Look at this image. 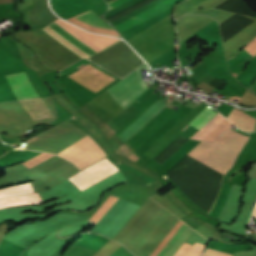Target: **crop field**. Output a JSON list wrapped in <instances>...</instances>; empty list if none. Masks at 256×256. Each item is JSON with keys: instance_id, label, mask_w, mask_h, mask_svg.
I'll return each instance as SVG.
<instances>
[{"instance_id": "8a807250", "label": "crop field", "mask_w": 256, "mask_h": 256, "mask_svg": "<svg viewBox=\"0 0 256 256\" xmlns=\"http://www.w3.org/2000/svg\"><path fill=\"white\" fill-rule=\"evenodd\" d=\"M247 139V136L229 129L212 144L201 141L187 155L225 174L234 163L240 148Z\"/></svg>"}, {"instance_id": "ac0d7876", "label": "crop field", "mask_w": 256, "mask_h": 256, "mask_svg": "<svg viewBox=\"0 0 256 256\" xmlns=\"http://www.w3.org/2000/svg\"><path fill=\"white\" fill-rule=\"evenodd\" d=\"M148 66L143 64L133 73L108 89L114 99L125 109L129 107L149 87L142 78L141 70Z\"/></svg>"}, {"instance_id": "34b2d1b8", "label": "crop field", "mask_w": 256, "mask_h": 256, "mask_svg": "<svg viewBox=\"0 0 256 256\" xmlns=\"http://www.w3.org/2000/svg\"><path fill=\"white\" fill-rule=\"evenodd\" d=\"M58 155L70 160L80 169L106 156L89 135L60 152Z\"/></svg>"}, {"instance_id": "412701ff", "label": "crop field", "mask_w": 256, "mask_h": 256, "mask_svg": "<svg viewBox=\"0 0 256 256\" xmlns=\"http://www.w3.org/2000/svg\"><path fill=\"white\" fill-rule=\"evenodd\" d=\"M117 171L118 169L105 158L68 179L82 190Z\"/></svg>"}, {"instance_id": "f4fd0767", "label": "crop field", "mask_w": 256, "mask_h": 256, "mask_svg": "<svg viewBox=\"0 0 256 256\" xmlns=\"http://www.w3.org/2000/svg\"><path fill=\"white\" fill-rule=\"evenodd\" d=\"M67 77L94 93L115 80L89 64Z\"/></svg>"}, {"instance_id": "dd49c442", "label": "crop field", "mask_w": 256, "mask_h": 256, "mask_svg": "<svg viewBox=\"0 0 256 256\" xmlns=\"http://www.w3.org/2000/svg\"><path fill=\"white\" fill-rule=\"evenodd\" d=\"M185 223L182 221H178V223L173 227V229L168 233L165 239L160 243V245L154 250L151 256H163L165 252L169 249V247L173 244V242L178 238V236L182 233V231L187 227ZM193 230L188 226L183 233L179 236V238L174 242V244L170 247V249L166 252L164 256H172L178 248L182 245L185 239L190 235Z\"/></svg>"}, {"instance_id": "e52e79f7", "label": "crop field", "mask_w": 256, "mask_h": 256, "mask_svg": "<svg viewBox=\"0 0 256 256\" xmlns=\"http://www.w3.org/2000/svg\"><path fill=\"white\" fill-rule=\"evenodd\" d=\"M126 1H128V0H115L111 3H109V9L108 10H110V9H112V8L118 6V5H120V4H122ZM180 1H182V0H165V1L153 6L151 8H149V9H147V10H145V11H143V12H141V13H139V14H137V15H135V16L119 23V24H117V25H115L114 27L118 31L122 32V31H124V30H126V29H128V28H130V27H132V26H134V25H136V24H138V23H140V22H142V21H144V20H146V19H148V18H150V17H152V16H154V15L172 7V6H174L175 4H177Z\"/></svg>"}, {"instance_id": "d8731c3e", "label": "crop field", "mask_w": 256, "mask_h": 256, "mask_svg": "<svg viewBox=\"0 0 256 256\" xmlns=\"http://www.w3.org/2000/svg\"><path fill=\"white\" fill-rule=\"evenodd\" d=\"M17 100L39 96L31 85L25 71L5 76Z\"/></svg>"}, {"instance_id": "5a996713", "label": "crop field", "mask_w": 256, "mask_h": 256, "mask_svg": "<svg viewBox=\"0 0 256 256\" xmlns=\"http://www.w3.org/2000/svg\"><path fill=\"white\" fill-rule=\"evenodd\" d=\"M19 102L28 112V114L32 117L33 120L54 116L41 98L32 100H22Z\"/></svg>"}, {"instance_id": "3316defc", "label": "crop field", "mask_w": 256, "mask_h": 256, "mask_svg": "<svg viewBox=\"0 0 256 256\" xmlns=\"http://www.w3.org/2000/svg\"><path fill=\"white\" fill-rule=\"evenodd\" d=\"M36 203H42V200L38 192L1 198L0 209L15 206V205L36 204Z\"/></svg>"}, {"instance_id": "28ad6ade", "label": "crop field", "mask_w": 256, "mask_h": 256, "mask_svg": "<svg viewBox=\"0 0 256 256\" xmlns=\"http://www.w3.org/2000/svg\"><path fill=\"white\" fill-rule=\"evenodd\" d=\"M209 73L225 62L223 46L204 58ZM223 65V64H222Z\"/></svg>"}, {"instance_id": "d1516ede", "label": "crop field", "mask_w": 256, "mask_h": 256, "mask_svg": "<svg viewBox=\"0 0 256 256\" xmlns=\"http://www.w3.org/2000/svg\"><path fill=\"white\" fill-rule=\"evenodd\" d=\"M65 24H67V23H65ZM67 25L70 26L71 28H73L74 30H76L77 32L81 33L82 35H84L85 37H87L88 39H90L91 41H93L94 43H96L97 45H99L102 48H104V47L108 46L109 44H111V43H113V42L118 40L116 38H111V37H105V36H99V35L91 34V33L85 32L83 30H80V29H78V28H76V27H74V26H72L70 24H67Z\"/></svg>"}, {"instance_id": "22f410ed", "label": "crop field", "mask_w": 256, "mask_h": 256, "mask_svg": "<svg viewBox=\"0 0 256 256\" xmlns=\"http://www.w3.org/2000/svg\"><path fill=\"white\" fill-rule=\"evenodd\" d=\"M34 192L31 183H26L20 186L10 187L6 189H0V198L11 195H19Z\"/></svg>"}, {"instance_id": "cbeb9de0", "label": "crop field", "mask_w": 256, "mask_h": 256, "mask_svg": "<svg viewBox=\"0 0 256 256\" xmlns=\"http://www.w3.org/2000/svg\"><path fill=\"white\" fill-rule=\"evenodd\" d=\"M223 119H224V117L218 113L207 124H205L192 138L201 140Z\"/></svg>"}, {"instance_id": "5142ce71", "label": "crop field", "mask_w": 256, "mask_h": 256, "mask_svg": "<svg viewBox=\"0 0 256 256\" xmlns=\"http://www.w3.org/2000/svg\"><path fill=\"white\" fill-rule=\"evenodd\" d=\"M216 114L217 113L211 111L206 107L191 123H189V125L197 129H200L206 122H208Z\"/></svg>"}, {"instance_id": "d9b57169", "label": "crop field", "mask_w": 256, "mask_h": 256, "mask_svg": "<svg viewBox=\"0 0 256 256\" xmlns=\"http://www.w3.org/2000/svg\"><path fill=\"white\" fill-rule=\"evenodd\" d=\"M82 21H85L87 23H90L95 26H100V27H106V28H112V26L108 25L104 21H102L100 18H98L95 14H93L91 11L84 13L82 15L77 16Z\"/></svg>"}, {"instance_id": "733c2abd", "label": "crop field", "mask_w": 256, "mask_h": 256, "mask_svg": "<svg viewBox=\"0 0 256 256\" xmlns=\"http://www.w3.org/2000/svg\"><path fill=\"white\" fill-rule=\"evenodd\" d=\"M116 199H117L116 197L110 196L106 200V202L89 219L91 221V223L95 225L97 223V221L103 216V214L109 209V207L115 202Z\"/></svg>"}, {"instance_id": "4a817a6b", "label": "crop field", "mask_w": 256, "mask_h": 256, "mask_svg": "<svg viewBox=\"0 0 256 256\" xmlns=\"http://www.w3.org/2000/svg\"><path fill=\"white\" fill-rule=\"evenodd\" d=\"M231 124L228 121L221 122L207 137L203 140L208 142H213V140L218 137L225 130L230 128Z\"/></svg>"}, {"instance_id": "bc2a9ffb", "label": "crop field", "mask_w": 256, "mask_h": 256, "mask_svg": "<svg viewBox=\"0 0 256 256\" xmlns=\"http://www.w3.org/2000/svg\"><path fill=\"white\" fill-rule=\"evenodd\" d=\"M52 156H54V155L53 154L41 153V154L35 156L34 158H32V159H30V160H28V161H26V162H24L22 164H24V165H26L27 167L30 168V167H32V166H34V165H36V164H38V163H40V162L50 158Z\"/></svg>"}, {"instance_id": "214f88e0", "label": "crop field", "mask_w": 256, "mask_h": 256, "mask_svg": "<svg viewBox=\"0 0 256 256\" xmlns=\"http://www.w3.org/2000/svg\"><path fill=\"white\" fill-rule=\"evenodd\" d=\"M245 47L253 58L256 55V37L251 42H249Z\"/></svg>"}, {"instance_id": "92a150f3", "label": "crop field", "mask_w": 256, "mask_h": 256, "mask_svg": "<svg viewBox=\"0 0 256 256\" xmlns=\"http://www.w3.org/2000/svg\"><path fill=\"white\" fill-rule=\"evenodd\" d=\"M213 253V250L207 249L204 251L203 254H201L200 256H211V254ZM213 256H231V255H227V254H223L220 252H214Z\"/></svg>"}, {"instance_id": "dafd665d", "label": "crop field", "mask_w": 256, "mask_h": 256, "mask_svg": "<svg viewBox=\"0 0 256 256\" xmlns=\"http://www.w3.org/2000/svg\"><path fill=\"white\" fill-rule=\"evenodd\" d=\"M167 108H171V109H174V110L177 109V107H174V106H171V105L167 106Z\"/></svg>"}]
</instances>
